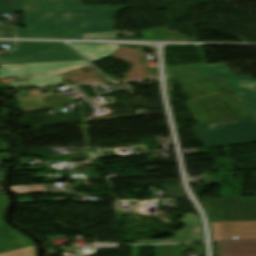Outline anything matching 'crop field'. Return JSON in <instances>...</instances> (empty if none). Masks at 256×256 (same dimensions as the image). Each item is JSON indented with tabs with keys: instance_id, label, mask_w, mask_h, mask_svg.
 Masks as SVG:
<instances>
[{
	"instance_id": "crop-field-1",
	"label": "crop field",
	"mask_w": 256,
	"mask_h": 256,
	"mask_svg": "<svg viewBox=\"0 0 256 256\" xmlns=\"http://www.w3.org/2000/svg\"><path fill=\"white\" fill-rule=\"evenodd\" d=\"M23 26L15 38L67 39V35L115 31L114 19L127 7L82 5L80 0H23Z\"/></svg>"
},
{
	"instance_id": "crop-field-2",
	"label": "crop field",
	"mask_w": 256,
	"mask_h": 256,
	"mask_svg": "<svg viewBox=\"0 0 256 256\" xmlns=\"http://www.w3.org/2000/svg\"><path fill=\"white\" fill-rule=\"evenodd\" d=\"M175 79L222 76L253 119L194 126L204 147L256 141V81L236 76L224 63L168 67Z\"/></svg>"
},
{
	"instance_id": "crop-field-3",
	"label": "crop field",
	"mask_w": 256,
	"mask_h": 256,
	"mask_svg": "<svg viewBox=\"0 0 256 256\" xmlns=\"http://www.w3.org/2000/svg\"><path fill=\"white\" fill-rule=\"evenodd\" d=\"M176 81L189 100L232 93L222 77ZM185 104L198 124L251 118L235 94L187 101Z\"/></svg>"
},
{
	"instance_id": "crop-field-4",
	"label": "crop field",
	"mask_w": 256,
	"mask_h": 256,
	"mask_svg": "<svg viewBox=\"0 0 256 256\" xmlns=\"http://www.w3.org/2000/svg\"><path fill=\"white\" fill-rule=\"evenodd\" d=\"M209 225L217 245L215 256H256V221L209 222Z\"/></svg>"
},
{
	"instance_id": "crop-field-5",
	"label": "crop field",
	"mask_w": 256,
	"mask_h": 256,
	"mask_svg": "<svg viewBox=\"0 0 256 256\" xmlns=\"http://www.w3.org/2000/svg\"><path fill=\"white\" fill-rule=\"evenodd\" d=\"M84 60L64 43L17 42V50L6 52L0 65Z\"/></svg>"
},
{
	"instance_id": "crop-field-6",
	"label": "crop field",
	"mask_w": 256,
	"mask_h": 256,
	"mask_svg": "<svg viewBox=\"0 0 256 256\" xmlns=\"http://www.w3.org/2000/svg\"><path fill=\"white\" fill-rule=\"evenodd\" d=\"M208 221L256 220V198L207 199Z\"/></svg>"
},
{
	"instance_id": "crop-field-7",
	"label": "crop field",
	"mask_w": 256,
	"mask_h": 256,
	"mask_svg": "<svg viewBox=\"0 0 256 256\" xmlns=\"http://www.w3.org/2000/svg\"><path fill=\"white\" fill-rule=\"evenodd\" d=\"M89 65L86 61L0 66V79L8 76L49 75Z\"/></svg>"
},
{
	"instance_id": "crop-field-8",
	"label": "crop field",
	"mask_w": 256,
	"mask_h": 256,
	"mask_svg": "<svg viewBox=\"0 0 256 256\" xmlns=\"http://www.w3.org/2000/svg\"><path fill=\"white\" fill-rule=\"evenodd\" d=\"M177 223L183 224L185 227L175 232L174 239L139 241L138 244L197 242L203 240L201 221L199 217L186 213L184 218Z\"/></svg>"
},
{
	"instance_id": "crop-field-9",
	"label": "crop field",
	"mask_w": 256,
	"mask_h": 256,
	"mask_svg": "<svg viewBox=\"0 0 256 256\" xmlns=\"http://www.w3.org/2000/svg\"><path fill=\"white\" fill-rule=\"evenodd\" d=\"M70 45L91 62L110 57L111 52L118 47V45L93 43H70Z\"/></svg>"
},
{
	"instance_id": "crop-field-10",
	"label": "crop field",
	"mask_w": 256,
	"mask_h": 256,
	"mask_svg": "<svg viewBox=\"0 0 256 256\" xmlns=\"http://www.w3.org/2000/svg\"><path fill=\"white\" fill-rule=\"evenodd\" d=\"M57 85H63L60 75L28 78L26 82L12 83V85L6 87V90Z\"/></svg>"
},
{
	"instance_id": "crop-field-11",
	"label": "crop field",
	"mask_w": 256,
	"mask_h": 256,
	"mask_svg": "<svg viewBox=\"0 0 256 256\" xmlns=\"http://www.w3.org/2000/svg\"><path fill=\"white\" fill-rule=\"evenodd\" d=\"M144 40H159V41H194L190 38L169 32L161 28L141 31Z\"/></svg>"
},
{
	"instance_id": "crop-field-12",
	"label": "crop field",
	"mask_w": 256,
	"mask_h": 256,
	"mask_svg": "<svg viewBox=\"0 0 256 256\" xmlns=\"http://www.w3.org/2000/svg\"><path fill=\"white\" fill-rule=\"evenodd\" d=\"M24 13L22 0H0V14Z\"/></svg>"
},
{
	"instance_id": "crop-field-13",
	"label": "crop field",
	"mask_w": 256,
	"mask_h": 256,
	"mask_svg": "<svg viewBox=\"0 0 256 256\" xmlns=\"http://www.w3.org/2000/svg\"><path fill=\"white\" fill-rule=\"evenodd\" d=\"M0 256H36V248L33 245L22 249L2 253L0 254Z\"/></svg>"
},
{
	"instance_id": "crop-field-14",
	"label": "crop field",
	"mask_w": 256,
	"mask_h": 256,
	"mask_svg": "<svg viewBox=\"0 0 256 256\" xmlns=\"http://www.w3.org/2000/svg\"><path fill=\"white\" fill-rule=\"evenodd\" d=\"M11 189L18 194H27L32 192H45L44 185H31V186H13Z\"/></svg>"
},
{
	"instance_id": "crop-field-15",
	"label": "crop field",
	"mask_w": 256,
	"mask_h": 256,
	"mask_svg": "<svg viewBox=\"0 0 256 256\" xmlns=\"http://www.w3.org/2000/svg\"><path fill=\"white\" fill-rule=\"evenodd\" d=\"M15 25H0V37L14 38L13 30Z\"/></svg>"
},
{
	"instance_id": "crop-field-16",
	"label": "crop field",
	"mask_w": 256,
	"mask_h": 256,
	"mask_svg": "<svg viewBox=\"0 0 256 256\" xmlns=\"http://www.w3.org/2000/svg\"><path fill=\"white\" fill-rule=\"evenodd\" d=\"M86 37L87 39H116V34H95Z\"/></svg>"
},
{
	"instance_id": "crop-field-17",
	"label": "crop field",
	"mask_w": 256,
	"mask_h": 256,
	"mask_svg": "<svg viewBox=\"0 0 256 256\" xmlns=\"http://www.w3.org/2000/svg\"><path fill=\"white\" fill-rule=\"evenodd\" d=\"M0 45H9V50L15 49L14 42H3V41H0Z\"/></svg>"
},
{
	"instance_id": "crop-field-18",
	"label": "crop field",
	"mask_w": 256,
	"mask_h": 256,
	"mask_svg": "<svg viewBox=\"0 0 256 256\" xmlns=\"http://www.w3.org/2000/svg\"><path fill=\"white\" fill-rule=\"evenodd\" d=\"M84 34L68 36V39H83Z\"/></svg>"
},
{
	"instance_id": "crop-field-19",
	"label": "crop field",
	"mask_w": 256,
	"mask_h": 256,
	"mask_svg": "<svg viewBox=\"0 0 256 256\" xmlns=\"http://www.w3.org/2000/svg\"><path fill=\"white\" fill-rule=\"evenodd\" d=\"M166 74H167V79H174V77L172 76V74L169 72V70L166 67Z\"/></svg>"
}]
</instances>
